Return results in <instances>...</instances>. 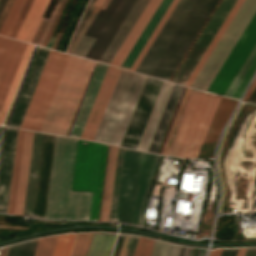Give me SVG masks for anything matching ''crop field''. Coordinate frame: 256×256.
I'll use <instances>...</instances> for the list:
<instances>
[{
  "mask_svg": "<svg viewBox=\"0 0 256 256\" xmlns=\"http://www.w3.org/2000/svg\"><path fill=\"white\" fill-rule=\"evenodd\" d=\"M37 240L38 239L10 246L7 256H33Z\"/></svg>",
  "mask_w": 256,
  "mask_h": 256,
  "instance_id": "crop-field-36",
  "label": "crop field"
},
{
  "mask_svg": "<svg viewBox=\"0 0 256 256\" xmlns=\"http://www.w3.org/2000/svg\"><path fill=\"white\" fill-rule=\"evenodd\" d=\"M68 57L50 51L19 128L40 130Z\"/></svg>",
  "mask_w": 256,
  "mask_h": 256,
  "instance_id": "crop-field-9",
  "label": "crop field"
},
{
  "mask_svg": "<svg viewBox=\"0 0 256 256\" xmlns=\"http://www.w3.org/2000/svg\"><path fill=\"white\" fill-rule=\"evenodd\" d=\"M24 134H25V131L18 130L14 165H13V172H12V180H11V187H10V195H9V202H8V210H7V213H10V214H13V211H14L15 195H16L18 172H19Z\"/></svg>",
  "mask_w": 256,
  "mask_h": 256,
  "instance_id": "crop-field-29",
  "label": "crop field"
},
{
  "mask_svg": "<svg viewBox=\"0 0 256 256\" xmlns=\"http://www.w3.org/2000/svg\"><path fill=\"white\" fill-rule=\"evenodd\" d=\"M106 149L91 142L76 143L70 191L92 192L89 219L93 220L98 217Z\"/></svg>",
  "mask_w": 256,
  "mask_h": 256,
  "instance_id": "crop-field-8",
  "label": "crop field"
},
{
  "mask_svg": "<svg viewBox=\"0 0 256 256\" xmlns=\"http://www.w3.org/2000/svg\"><path fill=\"white\" fill-rule=\"evenodd\" d=\"M120 71V69L116 70L114 67H108L80 138L89 140L93 139Z\"/></svg>",
  "mask_w": 256,
  "mask_h": 256,
  "instance_id": "crop-field-20",
  "label": "crop field"
},
{
  "mask_svg": "<svg viewBox=\"0 0 256 256\" xmlns=\"http://www.w3.org/2000/svg\"><path fill=\"white\" fill-rule=\"evenodd\" d=\"M138 238L137 236L121 235L115 256H134Z\"/></svg>",
  "mask_w": 256,
  "mask_h": 256,
  "instance_id": "crop-field-32",
  "label": "crop field"
},
{
  "mask_svg": "<svg viewBox=\"0 0 256 256\" xmlns=\"http://www.w3.org/2000/svg\"><path fill=\"white\" fill-rule=\"evenodd\" d=\"M76 234H63L58 236L53 256H70Z\"/></svg>",
  "mask_w": 256,
  "mask_h": 256,
  "instance_id": "crop-field-35",
  "label": "crop field"
},
{
  "mask_svg": "<svg viewBox=\"0 0 256 256\" xmlns=\"http://www.w3.org/2000/svg\"><path fill=\"white\" fill-rule=\"evenodd\" d=\"M221 250L222 249L212 250V251H210L209 256H220Z\"/></svg>",
  "mask_w": 256,
  "mask_h": 256,
  "instance_id": "crop-field-50",
  "label": "crop field"
},
{
  "mask_svg": "<svg viewBox=\"0 0 256 256\" xmlns=\"http://www.w3.org/2000/svg\"><path fill=\"white\" fill-rule=\"evenodd\" d=\"M205 252L202 248L187 247L185 256H205Z\"/></svg>",
  "mask_w": 256,
  "mask_h": 256,
  "instance_id": "crop-field-44",
  "label": "crop field"
},
{
  "mask_svg": "<svg viewBox=\"0 0 256 256\" xmlns=\"http://www.w3.org/2000/svg\"><path fill=\"white\" fill-rule=\"evenodd\" d=\"M26 45V43L0 37V110Z\"/></svg>",
  "mask_w": 256,
  "mask_h": 256,
  "instance_id": "crop-field-18",
  "label": "crop field"
},
{
  "mask_svg": "<svg viewBox=\"0 0 256 256\" xmlns=\"http://www.w3.org/2000/svg\"><path fill=\"white\" fill-rule=\"evenodd\" d=\"M139 156L124 149L114 222L131 224Z\"/></svg>",
  "mask_w": 256,
  "mask_h": 256,
  "instance_id": "crop-field-12",
  "label": "crop field"
},
{
  "mask_svg": "<svg viewBox=\"0 0 256 256\" xmlns=\"http://www.w3.org/2000/svg\"><path fill=\"white\" fill-rule=\"evenodd\" d=\"M75 143L56 136L45 219L87 220L91 193L69 192Z\"/></svg>",
  "mask_w": 256,
  "mask_h": 256,
  "instance_id": "crop-field-2",
  "label": "crop field"
},
{
  "mask_svg": "<svg viewBox=\"0 0 256 256\" xmlns=\"http://www.w3.org/2000/svg\"><path fill=\"white\" fill-rule=\"evenodd\" d=\"M16 129L5 128L0 162V212L6 213L13 156L16 141Z\"/></svg>",
  "mask_w": 256,
  "mask_h": 256,
  "instance_id": "crop-field-21",
  "label": "crop field"
},
{
  "mask_svg": "<svg viewBox=\"0 0 256 256\" xmlns=\"http://www.w3.org/2000/svg\"><path fill=\"white\" fill-rule=\"evenodd\" d=\"M98 7H95V9L93 10L92 14L90 15V17L88 18L87 22L85 23V25L83 26L82 30L80 31V33L78 34V36L76 37L75 41L73 42V44L71 45L70 49L68 50V53L71 54V52L73 51L74 47L76 46V44L78 43L79 39L81 38V36L83 35L84 31L86 30V28L88 27L89 23L91 22V20L93 19V17L95 16L96 12L98 11Z\"/></svg>",
  "mask_w": 256,
  "mask_h": 256,
  "instance_id": "crop-field-43",
  "label": "crop field"
},
{
  "mask_svg": "<svg viewBox=\"0 0 256 256\" xmlns=\"http://www.w3.org/2000/svg\"><path fill=\"white\" fill-rule=\"evenodd\" d=\"M245 250L246 249H239L238 253H237V256H244Z\"/></svg>",
  "mask_w": 256,
  "mask_h": 256,
  "instance_id": "crop-field-51",
  "label": "crop field"
},
{
  "mask_svg": "<svg viewBox=\"0 0 256 256\" xmlns=\"http://www.w3.org/2000/svg\"><path fill=\"white\" fill-rule=\"evenodd\" d=\"M185 248H186V247L183 248V252H182V255H181V256H184Z\"/></svg>",
  "mask_w": 256,
  "mask_h": 256,
  "instance_id": "crop-field-55",
  "label": "crop field"
},
{
  "mask_svg": "<svg viewBox=\"0 0 256 256\" xmlns=\"http://www.w3.org/2000/svg\"><path fill=\"white\" fill-rule=\"evenodd\" d=\"M149 0H105L72 55L110 64Z\"/></svg>",
  "mask_w": 256,
  "mask_h": 256,
  "instance_id": "crop-field-1",
  "label": "crop field"
},
{
  "mask_svg": "<svg viewBox=\"0 0 256 256\" xmlns=\"http://www.w3.org/2000/svg\"><path fill=\"white\" fill-rule=\"evenodd\" d=\"M114 237L113 235L94 234L88 256H109Z\"/></svg>",
  "mask_w": 256,
  "mask_h": 256,
  "instance_id": "crop-field-31",
  "label": "crop field"
},
{
  "mask_svg": "<svg viewBox=\"0 0 256 256\" xmlns=\"http://www.w3.org/2000/svg\"><path fill=\"white\" fill-rule=\"evenodd\" d=\"M256 71V13L207 89L239 99Z\"/></svg>",
  "mask_w": 256,
  "mask_h": 256,
  "instance_id": "crop-field-4",
  "label": "crop field"
},
{
  "mask_svg": "<svg viewBox=\"0 0 256 256\" xmlns=\"http://www.w3.org/2000/svg\"><path fill=\"white\" fill-rule=\"evenodd\" d=\"M219 0H199L152 77L169 81Z\"/></svg>",
  "mask_w": 256,
  "mask_h": 256,
  "instance_id": "crop-field-10",
  "label": "crop field"
},
{
  "mask_svg": "<svg viewBox=\"0 0 256 256\" xmlns=\"http://www.w3.org/2000/svg\"><path fill=\"white\" fill-rule=\"evenodd\" d=\"M249 102L256 103V92H255L254 95L251 97V99L249 100Z\"/></svg>",
  "mask_w": 256,
  "mask_h": 256,
  "instance_id": "crop-field-52",
  "label": "crop field"
},
{
  "mask_svg": "<svg viewBox=\"0 0 256 256\" xmlns=\"http://www.w3.org/2000/svg\"><path fill=\"white\" fill-rule=\"evenodd\" d=\"M238 249H223L221 256H236Z\"/></svg>",
  "mask_w": 256,
  "mask_h": 256,
  "instance_id": "crop-field-45",
  "label": "crop field"
},
{
  "mask_svg": "<svg viewBox=\"0 0 256 256\" xmlns=\"http://www.w3.org/2000/svg\"><path fill=\"white\" fill-rule=\"evenodd\" d=\"M183 88H184L183 86L176 85V84L174 85L170 98L168 100V103L166 105V108L164 110L161 121L159 123V126L157 128V131L155 133V136L153 138L152 144L148 152L155 153V154L158 153Z\"/></svg>",
  "mask_w": 256,
  "mask_h": 256,
  "instance_id": "crop-field-24",
  "label": "crop field"
},
{
  "mask_svg": "<svg viewBox=\"0 0 256 256\" xmlns=\"http://www.w3.org/2000/svg\"><path fill=\"white\" fill-rule=\"evenodd\" d=\"M171 1L172 0H162V2H161V0H150L149 1L148 5L144 9L143 13L139 17L138 21L134 25L133 29L131 30V32L129 33L128 37L126 38V40L124 41L123 45L121 46V48L119 49L118 53L116 54V56L114 57L113 61L111 62V65L116 66V67H120L121 66V64L123 63L124 59L128 55L129 51L133 47L134 43L138 39L139 35L143 31L144 27L146 26V24L148 23L149 19L151 18V16L153 15V13L155 12L156 8L158 7V5L161 2L159 7L157 8L156 12L154 13L152 18L150 19L149 23L145 27L144 31L140 35L139 39L135 43L134 47L130 51L129 55L125 59L124 63L122 64L123 67L130 68V66L132 65L133 61L135 60V58L139 54L140 50L144 46L145 42L147 41V39L151 35L152 31L154 30V28L158 24V22L161 19V17L163 16L164 12L166 11L168 6L170 5ZM177 2H178V0H173L172 1L171 5L169 6L167 11L165 12L164 16L160 20L159 24L157 25V27L153 31V33L150 36V38L148 39V41L146 42L145 46L141 50L140 54L138 55V57L134 61V63L131 66V68L130 69L125 68V69L131 70V71H135L136 67L140 63L141 59L145 55L146 51L150 47L151 43L155 39L156 35L160 31L161 27L165 23L166 19L170 15L171 11L173 10V8L175 7ZM123 67H121V68H123Z\"/></svg>",
  "mask_w": 256,
  "mask_h": 256,
  "instance_id": "crop-field-7",
  "label": "crop field"
},
{
  "mask_svg": "<svg viewBox=\"0 0 256 256\" xmlns=\"http://www.w3.org/2000/svg\"><path fill=\"white\" fill-rule=\"evenodd\" d=\"M163 81L147 78L120 146L135 149Z\"/></svg>",
  "mask_w": 256,
  "mask_h": 256,
  "instance_id": "crop-field-15",
  "label": "crop field"
},
{
  "mask_svg": "<svg viewBox=\"0 0 256 256\" xmlns=\"http://www.w3.org/2000/svg\"><path fill=\"white\" fill-rule=\"evenodd\" d=\"M94 64L69 57L40 131L67 135Z\"/></svg>",
  "mask_w": 256,
  "mask_h": 256,
  "instance_id": "crop-field-3",
  "label": "crop field"
},
{
  "mask_svg": "<svg viewBox=\"0 0 256 256\" xmlns=\"http://www.w3.org/2000/svg\"><path fill=\"white\" fill-rule=\"evenodd\" d=\"M255 11L256 0H245L243 2L237 14L191 85L192 88L206 91Z\"/></svg>",
  "mask_w": 256,
  "mask_h": 256,
  "instance_id": "crop-field-11",
  "label": "crop field"
},
{
  "mask_svg": "<svg viewBox=\"0 0 256 256\" xmlns=\"http://www.w3.org/2000/svg\"><path fill=\"white\" fill-rule=\"evenodd\" d=\"M146 78L121 71L93 140L120 145Z\"/></svg>",
  "mask_w": 256,
  "mask_h": 256,
  "instance_id": "crop-field-5",
  "label": "crop field"
},
{
  "mask_svg": "<svg viewBox=\"0 0 256 256\" xmlns=\"http://www.w3.org/2000/svg\"><path fill=\"white\" fill-rule=\"evenodd\" d=\"M173 85V83L163 82L136 149L148 151Z\"/></svg>",
  "mask_w": 256,
  "mask_h": 256,
  "instance_id": "crop-field-23",
  "label": "crop field"
},
{
  "mask_svg": "<svg viewBox=\"0 0 256 256\" xmlns=\"http://www.w3.org/2000/svg\"><path fill=\"white\" fill-rule=\"evenodd\" d=\"M235 2L236 0H223L221 2L215 14L213 15L205 30L201 34L200 38L198 39L190 54L186 58L185 62L181 66L180 70L176 74L173 82L181 83L184 85L187 78L191 74L192 70L196 66L197 62L208 47L209 43L213 39L214 35L218 31L219 27L223 23L224 19L230 12Z\"/></svg>",
  "mask_w": 256,
  "mask_h": 256,
  "instance_id": "crop-field-14",
  "label": "crop field"
},
{
  "mask_svg": "<svg viewBox=\"0 0 256 256\" xmlns=\"http://www.w3.org/2000/svg\"><path fill=\"white\" fill-rule=\"evenodd\" d=\"M240 106V105H239ZM239 106H238V108H239ZM238 108H237V110H238ZM237 110H236V112H237ZM236 112H235V114H236ZM235 114H234V116H235ZM234 116L232 117V119L234 118ZM232 119H231V121H232ZM231 121L229 122V124L231 123ZM229 124H228V126H229ZM227 126V127H228ZM227 127H226V129H227ZM226 129H225V131H226ZM225 131H224V133H225ZM224 133H223V135H224ZM222 138H223V136H222ZM221 141H222V139H221ZM221 141H220V144H221ZM219 147H220V145H219ZM219 150V149H218ZM217 155H218V153H217ZM216 163H217V158H216ZM217 173H218V165H217ZM218 178H219V182H220V187H221V199H222V183H221V181H220V177H219V173H218ZM220 203H221V200H220ZM219 211H220V207H219ZM219 213V212H218Z\"/></svg>",
  "mask_w": 256,
  "mask_h": 256,
  "instance_id": "crop-field-46",
  "label": "crop field"
},
{
  "mask_svg": "<svg viewBox=\"0 0 256 256\" xmlns=\"http://www.w3.org/2000/svg\"><path fill=\"white\" fill-rule=\"evenodd\" d=\"M245 256H256V249H247Z\"/></svg>",
  "mask_w": 256,
  "mask_h": 256,
  "instance_id": "crop-field-48",
  "label": "crop field"
},
{
  "mask_svg": "<svg viewBox=\"0 0 256 256\" xmlns=\"http://www.w3.org/2000/svg\"><path fill=\"white\" fill-rule=\"evenodd\" d=\"M255 86H256V79H255L254 83L252 84L251 88L249 89L247 95L245 96V98H244V100H243L244 102L246 101V99L248 98V96L251 94V92L253 91V89L255 88Z\"/></svg>",
  "mask_w": 256,
  "mask_h": 256,
  "instance_id": "crop-field-49",
  "label": "crop field"
},
{
  "mask_svg": "<svg viewBox=\"0 0 256 256\" xmlns=\"http://www.w3.org/2000/svg\"><path fill=\"white\" fill-rule=\"evenodd\" d=\"M116 151H117V148L110 146L105 184H104V190H103V197H102V204H101V211H100V218H99V221H103V222H107V219H108Z\"/></svg>",
  "mask_w": 256,
  "mask_h": 256,
  "instance_id": "crop-field-27",
  "label": "crop field"
},
{
  "mask_svg": "<svg viewBox=\"0 0 256 256\" xmlns=\"http://www.w3.org/2000/svg\"><path fill=\"white\" fill-rule=\"evenodd\" d=\"M42 134L34 133L23 215L31 217Z\"/></svg>",
  "mask_w": 256,
  "mask_h": 256,
  "instance_id": "crop-field-25",
  "label": "crop field"
},
{
  "mask_svg": "<svg viewBox=\"0 0 256 256\" xmlns=\"http://www.w3.org/2000/svg\"><path fill=\"white\" fill-rule=\"evenodd\" d=\"M196 0H179L136 72L150 75Z\"/></svg>",
  "mask_w": 256,
  "mask_h": 256,
  "instance_id": "crop-field-13",
  "label": "crop field"
},
{
  "mask_svg": "<svg viewBox=\"0 0 256 256\" xmlns=\"http://www.w3.org/2000/svg\"><path fill=\"white\" fill-rule=\"evenodd\" d=\"M6 0H0V12L5 4Z\"/></svg>",
  "mask_w": 256,
  "mask_h": 256,
  "instance_id": "crop-field-54",
  "label": "crop field"
},
{
  "mask_svg": "<svg viewBox=\"0 0 256 256\" xmlns=\"http://www.w3.org/2000/svg\"><path fill=\"white\" fill-rule=\"evenodd\" d=\"M244 0H237L236 4L234 5V7L232 8L231 12L229 13V15L227 16V18L225 19L224 23L222 24V26L220 27L219 31L217 32V34L215 35L214 39L212 40V42L210 43L209 47L207 48V50L205 51V53L203 54L202 58L200 59V61L198 62L197 66L195 67V69L193 70L192 74L190 75V77L188 78L187 82L185 83V86L190 87V85L192 84L193 80L195 79V77L197 76L198 72L200 71V69L202 68L203 64L205 63V61L207 60L208 56L210 55V53L212 52V50L214 49L215 45L217 44V42L219 41L220 37L222 36V34L224 33L225 29L227 28V26L229 25L230 21L232 20V18L234 17V15L236 14L237 10L239 9V7L241 6L242 2Z\"/></svg>",
  "mask_w": 256,
  "mask_h": 256,
  "instance_id": "crop-field-28",
  "label": "crop field"
},
{
  "mask_svg": "<svg viewBox=\"0 0 256 256\" xmlns=\"http://www.w3.org/2000/svg\"><path fill=\"white\" fill-rule=\"evenodd\" d=\"M55 136L43 134L32 217L44 219Z\"/></svg>",
  "mask_w": 256,
  "mask_h": 256,
  "instance_id": "crop-field-17",
  "label": "crop field"
},
{
  "mask_svg": "<svg viewBox=\"0 0 256 256\" xmlns=\"http://www.w3.org/2000/svg\"><path fill=\"white\" fill-rule=\"evenodd\" d=\"M182 248V246L167 244L155 240L150 256H180Z\"/></svg>",
  "mask_w": 256,
  "mask_h": 256,
  "instance_id": "crop-field-33",
  "label": "crop field"
},
{
  "mask_svg": "<svg viewBox=\"0 0 256 256\" xmlns=\"http://www.w3.org/2000/svg\"><path fill=\"white\" fill-rule=\"evenodd\" d=\"M50 50L38 47L6 125L18 128Z\"/></svg>",
  "mask_w": 256,
  "mask_h": 256,
  "instance_id": "crop-field-16",
  "label": "crop field"
},
{
  "mask_svg": "<svg viewBox=\"0 0 256 256\" xmlns=\"http://www.w3.org/2000/svg\"><path fill=\"white\" fill-rule=\"evenodd\" d=\"M0 228L31 230L29 227H20V226H0Z\"/></svg>",
  "mask_w": 256,
  "mask_h": 256,
  "instance_id": "crop-field-47",
  "label": "crop field"
},
{
  "mask_svg": "<svg viewBox=\"0 0 256 256\" xmlns=\"http://www.w3.org/2000/svg\"><path fill=\"white\" fill-rule=\"evenodd\" d=\"M191 90H192L191 88H188V87H187V89H186V91H185V94H184V96H183V99H182V101H181V104H180V106H179V109H178V111H177V114H176V116H175V119H174V121H173V123H172V126H171V128H170V131H169V133H168V136H167V138H166V141H165V143H164V146H163L162 151H161L160 154H164V155H165V153H166V151H167V149H168L167 144H168V142H169V140H170L171 134H172L173 129H174V127H175L176 121H177L178 116H179V114H180V111H181V109H182V106H183V103H184V101H185V98H186V96H187L188 94H190Z\"/></svg>",
  "mask_w": 256,
  "mask_h": 256,
  "instance_id": "crop-field-41",
  "label": "crop field"
},
{
  "mask_svg": "<svg viewBox=\"0 0 256 256\" xmlns=\"http://www.w3.org/2000/svg\"><path fill=\"white\" fill-rule=\"evenodd\" d=\"M123 149L118 148L108 222H113Z\"/></svg>",
  "mask_w": 256,
  "mask_h": 256,
  "instance_id": "crop-field-34",
  "label": "crop field"
},
{
  "mask_svg": "<svg viewBox=\"0 0 256 256\" xmlns=\"http://www.w3.org/2000/svg\"><path fill=\"white\" fill-rule=\"evenodd\" d=\"M219 96L192 90L180 119L168 155L196 158Z\"/></svg>",
  "mask_w": 256,
  "mask_h": 256,
  "instance_id": "crop-field-6",
  "label": "crop field"
},
{
  "mask_svg": "<svg viewBox=\"0 0 256 256\" xmlns=\"http://www.w3.org/2000/svg\"><path fill=\"white\" fill-rule=\"evenodd\" d=\"M107 67V65L97 64L68 136L80 137Z\"/></svg>",
  "mask_w": 256,
  "mask_h": 256,
  "instance_id": "crop-field-22",
  "label": "crop field"
},
{
  "mask_svg": "<svg viewBox=\"0 0 256 256\" xmlns=\"http://www.w3.org/2000/svg\"><path fill=\"white\" fill-rule=\"evenodd\" d=\"M158 156L141 153L133 221L132 224L144 227L148 191L159 161Z\"/></svg>",
  "mask_w": 256,
  "mask_h": 256,
  "instance_id": "crop-field-19",
  "label": "crop field"
},
{
  "mask_svg": "<svg viewBox=\"0 0 256 256\" xmlns=\"http://www.w3.org/2000/svg\"><path fill=\"white\" fill-rule=\"evenodd\" d=\"M95 0H90V2L89 3H91V4H93V2H94Z\"/></svg>",
  "mask_w": 256,
  "mask_h": 256,
  "instance_id": "crop-field-56",
  "label": "crop field"
},
{
  "mask_svg": "<svg viewBox=\"0 0 256 256\" xmlns=\"http://www.w3.org/2000/svg\"><path fill=\"white\" fill-rule=\"evenodd\" d=\"M44 2H45V0H33L31 6L29 8V11H28L16 37H15L16 39H20V40H24V41L26 40Z\"/></svg>",
  "mask_w": 256,
  "mask_h": 256,
  "instance_id": "crop-field-30",
  "label": "crop field"
},
{
  "mask_svg": "<svg viewBox=\"0 0 256 256\" xmlns=\"http://www.w3.org/2000/svg\"><path fill=\"white\" fill-rule=\"evenodd\" d=\"M93 9H94L93 6L87 5V7H86V9H85V11H84V13H83V15H82V17H81L79 23H78V26H77V28H76V31H75V33H74V35H73V37H72V39H71V41H70V45H71L72 42L74 41L75 37H76L77 34L79 33L80 29L82 28V26H83L84 23L86 22L87 18L89 17V15L91 14V12H92ZM70 45H69V47H70ZM68 49H69V48H68Z\"/></svg>",
  "mask_w": 256,
  "mask_h": 256,
  "instance_id": "crop-field-42",
  "label": "crop field"
},
{
  "mask_svg": "<svg viewBox=\"0 0 256 256\" xmlns=\"http://www.w3.org/2000/svg\"><path fill=\"white\" fill-rule=\"evenodd\" d=\"M25 0H14L12 6H11V9L0 29V34L1 35H8L23 3H24Z\"/></svg>",
  "mask_w": 256,
  "mask_h": 256,
  "instance_id": "crop-field-37",
  "label": "crop field"
},
{
  "mask_svg": "<svg viewBox=\"0 0 256 256\" xmlns=\"http://www.w3.org/2000/svg\"><path fill=\"white\" fill-rule=\"evenodd\" d=\"M33 133L25 134L14 214L22 215Z\"/></svg>",
  "mask_w": 256,
  "mask_h": 256,
  "instance_id": "crop-field-26",
  "label": "crop field"
},
{
  "mask_svg": "<svg viewBox=\"0 0 256 256\" xmlns=\"http://www.w3.org/2000/svg\"><path fill=\"white\" fill-rule=\"evenodd\" d=\"M103 1L104 0H96L95 2H94V5H97V6H101V4L103 3Z\"/></svg>",
  "mask_w": 256,
  "mask_h": 256,
  "instance_id": "crop-field-53",
  "label": "crop field"
},
{
  "mask_svg": "<svg viewBox=\"0 0 256 256\" xmlns=\"http://www.w3.org/2000/svg\"><path fill=\"white\" fill-rule=\"evenodd\" d=\"M153 241L154 240L140 237L135 256H149L153 245Z\"/></svg>",
  "mask_w": 256,
  "mask_h": 256,
  "instance_id": "crop-field-40",
  "label": "crop field"
},
{
  "mask_svg": "<svg viewBox=\"0 0 256 256\" xmlns=\"http://www.w3.org/2000/svg\"><path fill=\"white\" fill-rule=\"evenodd\" d=\"M92 233H79L75 242L72 256H86Z\"/></svg>",
  "mask_w": 256,
  "mask_h": 256,
  "instance_id": "crop-field-39",
  "label": "crop field"
},
{
  "mask_svg": "<svg viewBox=\"0 0 256 256\" xmlns=\"http://www.w3.org/2000/svg\"><path fill=\"white\" fill-rule=\"evenodd\" d=\"M57 236L39 238L34 256H52Z\"/></svg>",
  "mask_w": 256,
  "mask_h": 256,
  "instance_id": "crop-field-38",
  "label": "crop field"
}]
</instances>
